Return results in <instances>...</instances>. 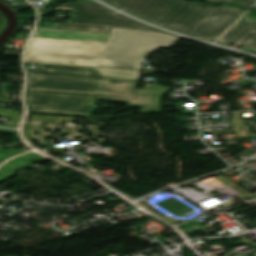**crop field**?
Here are the masks:
<instances>
[{
    "label": "crop field",
    "mask_w": 256,
    "mask_h": 256,
    "mask_svg": "<svg viewBox=\"0 0 256 256\" xmlns=\"http://www.w3.org/2000/svg\"><path fill=\"white\" fill-rule=\"evenodd\" d=\"M40 72L27 71L26 100L94 105L97 99L160 112V99L168 87L136 89L137 81L102 76L94 68L38 64Z\"/></svg>",
    "instance_id": "crop-field-1"
},
{
    "label": "crop field",
    "mask_w": 256,
    "mask_h": 256,
    "mask_svg": "<svg viewBox=\"0 0 256 256\" xmlns=\"http://www.w3.org/2000/svg\"><path fill=\"white\" fill-rule=\"evenodd\" d=\"M178 38L112 28L108 42L32 37L25 61L141 68L157 48L169 49Z\"/></svg>",
    "instance_id": "crop-field-2"
},
{
    "label": "crop field",
    "mask_w": 256,
    "mask_h": 256,
    "mask_svg": "<svg viewBox=\"0 0 256 256\" xmlns=\"http://www.w3.org/2000/svg\"><path fill=\"white\" fill-rule=\"evenodd\" d=\"M160 26L214 42L245 11L208 7L185 0H102Z\"/></svg>",
    "instance_id": "crop-field-3"
},
{
    "label": "crop field",
    "mask_w": 256,
    "mask_h": 256,
    "mask_svg": "<svg viewBox=\"0 0 256 256\" xmlns=\"http://www.w3.org/2000/svg\"><path fill=\"white\" fill-rule=\"evenodd\" d=\"M55 10L74 12L71 25L58 24L55 29L101 32L103 27L72 25L73 23L110 25L114 14L95 3L65 4ZM113 26L163 33L117 14ZM167 34V33H165ZM175 36V35H174ZM179 37V36H176Z\"/></svg>",
    "instance_id": "crop-field-4"
},
{
    "label": "crop field",
    "mask_w": 256,
    "mask_h": 256,
    "mask_svg": "<svg viewBox=\"0 0 256 256\" xmlns=\"http://www.w3.org/2000/svg\"><path fill=\"white\" fill-rule=\"evenodd\" d=\"M251 28L256 29V22L242 18L217 43L218 44H226V43L235 44ZM240 46L248 49H256V35L248 33L242 39Z\"/></svg>",
    "instance_id": "crop-field-5"
},
{
    "label": "crop field",
    "mask_w": 256,
    "mask_h": 256,
    "mask_svg": "<svg viewBox=\"0 0 256 256\" xmlns=\"http://www.w3.org/2000/svg\"><path fill=\"white\" fill-rule=\"evenodd\" d=\"M29 112L89 116L94 106L26 101Z\"/></svg>",
    "instance_id": "crop-field-6"
},
{
    "label": "crop field",
    "mask_w": 256,
    "mask_h": 256,
    "mask_svg": "<svg viewBox=\"0 0 256 256\" xmlns=\"http://www.w3.org/2000/svg\"><path fill=\"white\" fill-rule=\"evenodd\" d=\"M109 35L110 34L106 33L63 31L37 28L34 36L89 41H107Z\"/></svg>",
    "instance_id": "crop-field-7"
},
{
    "label": "crop field",
    "mask_w": 256,
    "mask_h": 256,
    "mask_svg": "<svg viewBox=\"0 0 256 256\" xmlns=\"http://www.w3.org/2000/svg\"><path fill=\"white\" fill-rule=\"evenodd\" d=\"M45 158H42L35 153H29L27 155L14 158L8 161L5 165H3L0 169L16 172V170L26 164H29L33 161H41Z\"/></svg>",
    "instance_id": "crop-field-8"
},
{
    "label": "crop field",
    "mask_w": 256,
    "mask_h": 256,
    "mask_svg": "<svg viewBox=\"0 0 256 256\" xmlns=\"http://www.w3.org/2000/svg\"><path fill=\"white\" fill-rule=\"evenodd\" d=\"M103 74L138 79L140 71L99 68Z\"/></svg>",
    "instance_id": "crop-field-9"
},
{
    "label": "crop field",
    "mask_w": 256,
    "mask_h": 256,
    "mask_svg": "<svg viewBox=\"0 0 256 256\" xmlns=\"http://www.w3.org/2000/svg\"><path fill=\"white\" fill-rule=\"evenodd\" d=\"M255 0H236V1H234L233 3H238V4H240V5H242V6H244V7H247V8H249L250 6H252V5H250L252 2H254Z\"/></svg>",
    "instance_id": "crop-field-10"
},
{
    "label": "crop field",
    "mask_w": 256,
    "mask_h": 256,
    "mask_svg": "<svg viewBox=\"0 0 256 256\" xmlns=\"http://www.w3.org/2000/svg\"><path fill=\"white\" fill-rule=\"evenodd\" d=\"M13 173L5 172L0 170V182L12 176Z\"/></svg>",
    "instance_id": "crop-field-11"
},
{
    "label": "crop field",
    "mask_w": 256,
    "mask_h": 256,
    "mask_svg": "<svg viewBox=\"0 0 256 256\" xmlns=\"http://www.w3.org/2000/svg\"><path fill=\"white\" fill-rule=\"evenodd\" d=\"M116 16V15H115ZM115 16H114V19H113V21H112V24H111V26H104V28H103V31L102 32H106V33H110V31H111V28H112V25H113V23H114V20H115ZM81 25H83V24H81ZM96 26H101V25H96ZM139 31V30H138ZM145 32H147V31H145ZM153 33V32H152ZM159 34V33H158ZM165 35V34H164ZM171 36V35H170Z\"/></svg>",
    "instance_id": "crop-field-12"
},
{
    "label": "crop field",
    "mask_w": 256,
    "mask_h": 256,
    "mask_svg": "<svg viewBox=\"0 0 256 256\" xmlns=\"http://www.w3.org/2000/svg\"><path fill=\"white\" fill-rule=\"evenodd\" d=\"M12 156H14V155H12V154H3V153H0V163L1 162H3V161H5L7 158H9V157H12Z\"/></svg>",
    "instance_id": "crop-field-13"
},
{
    "label": "crop field",
    "mask_w": 256,
    "mask_h": 256,
    "mask_svg": "<svg viewBox=\"0 0 256 256\" xmlns=\"http://www.w3.org/2000/svg\"><path fill=\"white\" fill-rule=\"evenodd\" d=\"M208 2L231 3L234 0H207Z\"/></svg>",
    "instance_id": "crop-field-14"
},
{
    "label": "crop field",
    "mask_w": 256,
    "mask_h": 256,
    "mask_svg": "<svg viewBox=\"0 0 256 256\" xmlns=\"http://www.w3.org/2000/svg\"><path fill=\"white\" fill-rule=\"evenodd\" d=\"M249 32H251V33H255V34H256V30H254V29H251ZM242 38H243V37H242ZM242 38H241V39H242ZM241 39H240L236 44H238V45H239V44H240Z\"/></svg>",
    "instance_id": "crop-field-15"
},
{
    "label": "crop field",
    "mask_w": 256,
    "mask_h": 256,
    "mask_svg": "<svg viewBox=\"0 0 256 256\" xmlns=\"http://www.w3.org/2000/svg\"><path fill=\"white\" fill-rule=\"evenodd\" d=\"M1 21H2V18H1V16H0V25H1Z\"/></svg>",
    "instance_id": "crop-field-16"
}]
</instances>
